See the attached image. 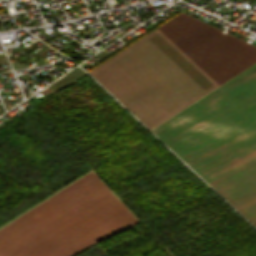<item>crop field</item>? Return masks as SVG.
<instances>
[{"mask_svg": "<svg viewBox=\"0 0 256 256\" xmlns=\"http://www.w3.org/2000/svg\"><path fill=\"white\" fill-rule=\"evenodd\" d=\"M137 223L91 171L0 228V256H74Z\"/></svg>", "mask_w": 256, "mask_h": 256, "instance_id": "ac0d7876", "label": "crop field"}, {"mask_svg": "<svg viewBox=\"0 0 256 256\" xmlns=\"http://www.w3.org/2000/svg\"><path fill=\"white\" fill-rule=\"evenodd\" d=\"M218 85L256 62V47L181 13L157 28Z\"/></svg>", "mask_w": 256, "mask_h": 256, "instance_id": "34b2d1b8", "label": "crop field"}, {"mask_svg": "<svg viewBox=\"0 0 256 256\" xmlns=\"http://www.w3.org/2000/svg\"><path fill=\"white\" fill-rule=\"evenodd\" d=\"M152 131L208 183L256 160V64ZM210 185L256 225V161Z\"/></svg>", "mask_w": 256, "mask_h": 256, "instance_id": "8a807250", "label": "crop field"}]
</instances>
